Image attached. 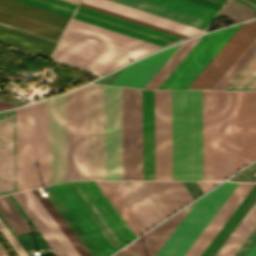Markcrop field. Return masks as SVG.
Returning a JSON list of instances; mask_svg holds the SVG:
<instances>
[{"mask_svg":"<svg viewBox=\"0 0 256 256\" xmlns=\"http://www.w3.org/2000/svg\"><path fill=\"white\" fill-rule=\"evenodd\" d=\"M67 180L84 179L83 87L66 94ZM65 94L49 100V184L66 181Z\"/></svg>","mask_w":256,"mask_h":256,"instance_id":"dd49c442","label":"crop field"},{"mask_svg":"<svg viewBox=\"0 0 256 256\" xmlns=\"http://www.w3.org/2000/svg\"><path fill=\"white\" fill-rule=\"evenodd\" d=\"M255 210H256V203L253 205L250 211L246 214V216L243 218L240 224L236 227V229L233 231V233L226 240V242L223 244V246L220 248V250L216 253L215 256H222V254L225 252V250L228 248V246L231 244V242L234 240V238L237 236V234L240 232V230L243 228V226L246 224V222L255 212Z\"/></svg>","mask_w":256,"mask_h":256,"instance_id":"c035e120","label":"crop field"},{"mask_svg":"<svg viewBox=\"0 0 256 256\" xmlns=\"http://www.w3.org/2000/svg\"><path fill=\"white\" fill-rule=\"evenodd\" d=\"M80 6L87 7V8H90V9H93V10H96V11H99V12H103V13H106V14H109V15H112V16H115V17H119V18H122V19H125V20H128V21H132V22H135V23H138V24H141V25H144V26H148V27H151V28L160 30V31H164V32H167V33L176 35V36H180V37H183V38H187V37H188V36L181 35V34H178V33L172 32V31H169V30H165V29H162V28L153 26V25H149V24H146V23L137 21V20H133V19H130V18L121 16V15H117V14H114V13H111V12H108V11H105V10H101V9H98V8H95V7H92V6H89V5H85V4L80 3Z\"/></svg>","mask_w":256,"mask_h":256,"instance_id":"c21b1889","label":"crop field"},{"mask_svg":"<svg viewBox=\"0 0 256 256\" xmlns=\"http://www.w3.org/2000/svg\"><path fill=\"white\" fill-rule=\"evenodd\" d=\"M137 100L141 101V90L137 89ZM137 101L138 134V179H142L141 102Z\"/></svg>","mask_w":256,"mask_h":256,"instance_id":"b80d0937","label":"crop field"},{"mask_svg":"<svg viewBox=\"0 0 256 256\" xmlns=\"http://www.w3.org/2000/svg\"><path fill=\"white\" fill-rule=\"evenodd\" d=\"M81 2L188 36H192L202 32V30L189 27L171 20H167L108 0H82Z\"/></svg>","mask_w":256,"mask_h":256,"instance_id":"4a817a6b","label":"crop field"},{"mask_svg":"<svg viewBox=\"0 0 256 256\" xmlns=\"http://www.w3.org/2000/svg\"><path fill=\"white\" fill-rule=\"evenodd\" d=\"M246 256H256V243L254 246L251 248V250L248 252Z\"/></svg>","mask_w":256,"mask_h":256,"instance_id":"25e5ab78","label":"crop field"},{"mask_svg":"<svg viewBox=\"0 0 256 256\" xmlns=\"http://www.w3.org/2000/svg\"><path fill=\"white\" fill-rule=\"evenodd\" d=\"M255 51L256 39L234 63V65L227 71V73L221 78V80L215 85L213 89H224L227 83L234 77V75L241 69V67L247 62V60L254 54Z\"/></svg>","mask_w":256,"mask_h":256,"instance_id":"028f5c9d","label":"crop field"},{"mask_svg":"<svg viewBox=\"0 0 256 256\" xmlns=\"http://www.w3.org/2000/svg\"><path fill=\"white\" fill-rule=\"evenodd\" d=\"M155 180H172L171 90H154Z\"/></svg>","mask_w":256,"mask_h":256,"instance_id":"22f410ed","label":"crop field"},{"mask_svg":"<svg viewBox=\"0 0 256 256\" xmlns=\"http://www.w3.org/2000/svg\"><path fill=\"white\" fill-rule=\"evenodd\" d=\"M15 238L28 254V256H34L28 253L27 250L29 249L43 250L50 248L40 233L37 231V229L15 236Z\"/></svg>","mask_w":256,"mask_h":256,"instance_id":"5866460e","label":"crop field"},{"mask_svg":"<svg viewBox=\"0 0 256 256\" xmlns=\"http://www.w3.org/2000/svg\"><path fill=\"white\" fill-rule=\"evenodd\" d=\"M255 226L256 212L253 214V216L250 218V220L247 222V224L244 226V228L241 230V232L238 234V236L235 238V240L223 254V256H233Z\"/></svg>","mask_w":256,"mask_h":256,"instance_id":"e1f06a70","label":"crop field"},{"mask_svg":"<svg viewBox=\"0 0 256 256\" xmlns=\"http://www.w3.org/2000/svg\"><path fill=\"white\" fill-rule=\"evenodd\" d=\"M237 22L256 16V0H228L219 12Z\"/></svg>","mask_w":256,"mask_h":256,"instance_id":"bd1437ed","label":"crop field"},{"mask_svg":"<svg viewBox=\"0 0 256 256\" xmlns=\"http://www.w3.org/2000/svg\"><path fill=\"white\" fill-rule=\"evenodd\" d=\"M143 135H153V90H142ZM143 179H154V136H143Z\"/></svg>","mask_w":256,"mask_h":256,"instance_id":"bc2a9ffb","label":"crop field"},{"mask_svg":"<svg viewBox=\"0 0 256 256\" xmlns=\"http://www.w3.org/2000/svg\"><path fill=\"white\" fill-rule=\"evenodd\" d=\"M254 184L239 183L184 256H199Z\"/></svg>","mask_w":256,"mask_h":256,"instance_id":"733c2abd","label":"crop field"},{"mask_svg":"<svg viewBox=\"0 0 256 256\" xmlns=\"http://www.w3.org/2000/svg\"><path fill=\"white\" fill-rule=\"evenodd\" d=\"M0 256H8L6 254V252L2 249V247L0 246Z\"/></svg>","mask_w":256,"mask_h":256,"instance_id":"73cf0c24","label":"crop field"},{"mask_svg":"<svg viewBox=\"0 0 256 256\" xmlns=\"http://www.w3.org/2000/svg\"><path fill=\"white\" fill-rule=\"evenodd\" d=\"M152 56V55H151ZM148 56L140 61H137L125 68V70L120 74V76L113 83L114 85L126 86L129 81L136 75V73L143 67V65L150 59Z\"/></svg>","mask_w":256,"mask_h":256,"instance_id":"0bd39190","label":"crop field"},{"mask_svg":"<svg viewBox=\"0 0 256 256\" xmlns=\"http://www.w3.org/2000/svg\"><path fill=\"white\" fill-rule=\"evenodd\" d=\"M84 133L85 179H103L102 87L100 85L84 86Z\"/></svg>","mask_w":256,"mask_h":256,"instance_id":"5a996713","label":"crop field"},{"mask_svg":"<svg viewBox=\"0 0 256 256\" xmlns=\"http://www.w3.org/2000/svg\"><path fill=\"white\" fill-rule=\"evenodd\" d=\"M74 18L131 35L162 46L175 43L183 38L131 23L87 8L78 7Z\"/></svg>","mask_w":256,"mask_h":256,"instance_id":"5142ce71","label":"crop field"},{"mask_svg":"<svg viewBox=\"0 0 256 256\" xmlns=\"http://www.w3.org/2000/svg\"><path fill=\"white\" fill-rule=\"evenodd\" d=\"M219 10L226 0H189Z\"/></svg>","mask_w":256,"mask_h":256,"instance_id":"5d738f31","label":"crop field"},{"mask_svg":"<svg viewBox=\"0 0 256 256\" xmlns=\"http://www.w3.org/2000/svg\"><path fill=\"white\" fill-rule=\"evenodd\" d=\"M256 90V89H255Z\"/></svg>","mask_w":256,"mask_h":256,"instance_id":"1f2cbd36","label":"crop field"},{"mask_svg":"<svg viewBox=\"0 0 256 256\" xmlns=\"http://www.w3.org/2000/svg\"><path fill=\"white\" fill-rule=\"evenodd\" d=\"M27 4H31L43 9H47L59 14L71 17L76 5L63 2L60 0H18Z\"/></svg>","mask_w":256,"mask_h":256,"instance_id":"d32e631a","label":"crop field"},{"mask_svg":"<svg viewBox=\"0 0 256 256\" xmlns=\"http://www.w3.org/2000/svg\"><path fill=\"white\" fill-rule=\"evenodd\" d=\"M104 179H122L121 88L103 85Z\"/></svg>","mask_w":256,"mask_h":256,"instance_id":"3316defc","label":"crop field"},{"mask_svg":"<svg viewBox=\"0 0 256 256\" xmlns=\"http://www.w3.org/2000/svg\"><path fill=\"white\" fill-rule=\"evenodd\" d=\"M161 47L72 18L52 59L104 74Z\"/></svg>","mask_w":256,"mask_h":256,"instance_id":"34b2d1b8","label":"crop field"},{"mask_svg":"<svg viewBox=\"0 0 256 256\" xmlns=\"http://www.w3.org/2000/svg\"><path fill=\"white\" fill-rule=\"evenodd\" d=\"M0 231L8 240V242L11 244V246L15 249V251L18 253L19 256H27V254L24 252L21 246L17 243V241L14 239V237L11 235V233L8 231V229L5 227V225L2 223L1 220H0Z\"/></svg>","mask_w":256,"mask_h":256,"instance_id":"03da06ac","label":"crop field"},{"mask_svg":"<svg viewBox=\"0 0 256 256\" xmlns=\"http://www.w3.org/2000/svg\"><path fill=\"white\" fill-rule=\"evenodd\" d=\"M238 183L225 182L113 256H183Z\"/></svg>","mask_w":256,"mask_h":256,"instance_id":"f4fd0767","label":"crop field"},{"mask_svg":"<svg viewBox=\"0 0 256 256\" xmlns=\"http://www.w3.org/2000/svg\"><path fill=\"white\" fill-rule=\"evenodd\" d=\"M117 3H121L142 11H146L167 19H171L189 26H193L199 29L204 30V28L206 27V25L208 24V22L202 21V20H198L180 13H176L161 7H157L142 1H138V0H111Z\"/></svg>","mask_w":256,"mask_h":256,"instance_id":"a9b5d70f","label":"crop field"},{"mask_svg":"<svg viewBox=\"0 0 256 256\" xmlns=\"http://www.w3.org/2000/svg\"><path fill=\"white\" fill-rule=\"evenodd\" d=\"M179 45L154 54L127 86L142 88Z\"/></svg>","mask_w":256,"mask_h":256,"instance_id":"750c4746","label":"crop field"},{"mask_svg":"<svg viewBox=\"0 0 256 256\" xmlns=\"http://www.w3.org/2000/svg\"><path fill=\"white\" fill-rule=\"evenodd\" d=\"M200 37L182 43L143 88H158Z\"/></svg>","mask_w":256,"mask_h":256,"instance_id":"4177f3b9","label":"crop field"},{"mask_svg":"<svg viewBox=\"0 0 256 256\" xmlns=\"http://www.w3.org/2000/svg\"><path fill=\"white\" fill-rule=\"evenodd\" d=\"M239 25L203 35L159 88L186 89Z\"/></svg>","mask_w":256,"mask_h":256,"instance_id":"28ad6ade","label":"crop field"},{"mask_svg":"<svg viewBox=\"0 0 256 256\" xmlns=\"http://www.w3.org/2000/svg\"><path fill=\"white\" fill-rule=\"evenodd\" d=\"M123 179H137L136 90L122 88Z\"/></svg>","mask_w":256,"mask_h":256,"instance_id":"d9b57169","label":"crop field"},{"mask_svg":"<svg viewBox=\"0 0 256 256\" xmlns=\"http://www.w3.org/2000/svg\"><path fill=\"white\" fill-rule=\"evenodd\" d=\"M203 192L208 190L210 187L218 184L219 182H196Z\"/></svg>","mask_w":256,"mask_h":256,"instance_id":"d23c7cc5","label":"crop field"},{"mask_svg":"<svg viewBox=\"0 0 256 256\" xmlns=\"http://www.w3.org/2000/svg\"><path fill=\"white\" fill-rule=\"evenodd\" d=\"M45 189L49 193V196H47L49 200L52 202V204L55 206V208L58 210L61 216L65 219V221L77 235L80 241L84 244V246L87 248L90 254L92 256H101L95 249V247L92 245V243L85 236V234L82 232V230L79 228V226L72 219V217L69 215V213L65 210V208L62 206V204L59 202V200L56 198V196L53 194L50 188L46 187Z\"/></svg>","mask_w":256,"mask_h":256,"instance_id":"1d83c4d3","label":"crop field"},{"mask_svg":"<svg viewBox=\"0 0 256 256\" xmlns=\"http://www.w3.org/2000/svg\"><path fill=\"white\" fill-rule=\"evenodd\" d=\"M145 229L170 214L145 181H110Z\"/></svg>","mask_w":256,"mask_h":256,"instance_id":"cbeb9de0","label":"crop field"},{"mask_svg":"<svg viewBox=\"0 0 256 256\" xmlns=\"http://www.w3.org/2000/svg\"><path fill=\"white\" fill-rule=\"evenodd\" d=\"M146 182L170 214L194 200L181 182Z\"/></svg>","mask_w":256,"mask_h":256,"instance_id":"214f88e0","label":"crop field"},{"mask_svg":"<svg viewBox=\"0 0 256 256\" xmlns=\"http://www.w3.org/2000/svg\"><path fill=\"white\" fill-rule=\"evenodd\" d=\"M256 242V227L248 236V238L244 241L238 251L235 253L234 256H245L253 244Z\"/></svg>","mask_w":256,"mask_h":256,"instance_id":"b54c1fbb","label":"crop field"},{"mask_svg":"<svg viewBox=\"0 0 256 256\" xmlns=\"http://www.w3.org/2000/svg\"><path fill=\"white\" fill-rule=\"evenodd\" d=\"M256 38V19L244 22L187 89H212Z\"/></svg>","mask_w":256,"mask_h":256,"instance_id":"d1516ede","label":"crop field"},{"mask_svg":"<svg viewBox=\"0 0 256 256\" xmlns=\"http://www.w3.org/2000/svg\"><path fill=\"white\" fill-rule=\"evenodd\" d=\"M95 182L99 186V188L102 190V192L105 194V196L108 198V200L111 202V204L114 206V208L117 210V212L120 214V216L123 218V220L126 222V224L129 226V228L132 230V232L135 234L136 237L142 234L144 231H146L144 227L141 225V223L138 221V219L135 217V215L132 213V211L129 209V207L125 204V202L116 192V190L113 188V186L110 184L109 181H95Z\"/></svg>","mask_w":256,"mask_h":256,"instance_id":"00972430","label":"crop field"},{"mask_svg":"<svg viewBox=\"0 0 256 256\" xmlns=\"http://www.w3.org/2000/svg\"><path fill=\"white\" fill-rule=\"evenodd\" d=\"M21 193L29 202V204L33 207V209L36 211V213L39 215V217L42 219L45 225L49 228V230L52 232L55 238L59 241V243L68 253V255L79 256V254L76 252V250L64 236V234L61 232V230L58 228V226L55 224V222L52 220V218L49 216V214L46 212V210L34 196V194L31 192V190L23 191Z\"/></svg>","mask_w":256,"mask_h":256,"instance_id":"730fd06b","label":"crop field"},{"mask_svg":"<svg viewBox=\"0 0 256 256\" xmlns=\"http://www.w3.org/2000/svg\"><path fill=\"white\" fill-rule=\"evenodd\" d=\"M11 107H16V106L0 101V110L11 108Z\"/></svg>","mask_w":256,"mask_h":256,"instance_id":"425ffa30","label":"crop field"},{"mask_svg":"<svg viewBox=\"0 0 256 256\" xmlns=\"http://www.w3.org/2000/svg\"><path fill=\"white\" fill-rule=\"evenodd\" d=\"M256 201V184L248 193V195L244 198L238 208L234 211L228 221L224 224L218 234L214 237L205 251L201 254V256H213L223 242L227 239L236 225L240 222L246 212L250 209L253 203Z\"/></svg>","mask_w":256,"mask_h":256,"instance_id":"dafd665d","label":"crop field"},{"mask_svg":"<svg viewBox=\"0 0 256 256\" xmlns=\"http://www.w3.org/2000/svg\"><path fill=\"white\" fill-rule=\"evenodd\" d=\"M188 15L210 21L217 10L207 8L185 0H143Z\"/></svg>","mask_w":256,"mask_h":256,"instance_id":"eef30255","label":"crop field"},{"mask_svg":"<svg viewBox=\"0 0 256 256\" xmlns=\"http://www.w3.org/2000/svg\"><path fill=\"white\" fill-rule=\"evenodd\" d=\"M236 110L240 169L256 158V92L236 91ZM202 135L203 180H213L212 91H202ZM213 135L214 180L224 179L237 171L235 91H213Z\"/></svg>","mask_w":256,"mask_h":256,"instance_id":"8a807250","label":"crop field"},{"mask_svg":"<svg viewBox=\"0 0 256 256\" xmlns=\"http://www.w3.org/2000/svg\"><path fill=\"white\" fill-rule=\"evenodd\" d=\"M48 184V100L0 113V195Z\"/></svg>","mask_w":256,"mask_h":256,"instance_id":"ac0d7876","label":"crop field"},{"mask_svg":"<svg viewBox=\"0 0 256 256\" xmlns=\"http://www.w3.org/2000/svg\"><path fill=\"white\" fill-rule=\"evenodd\" d=\"M0 8L64 29L70 19L15 0H0ZM1 9L0 43L50 58L64 29Z\"/></svg>","mask_w":256,"mask_h":256,"instance_id":"e52e79f7","label":"crop field"},{"mask_svg":"<svg viewBox=\"0 0 256 256\" xmlns=\"http://www.w3.org/2000/svg\"><path fill=\"white\" fill-rule=\"evenodd\" d=\"M12 196L22 208V210L26 213V215L29 217V219L32 221V223L35 225V227L39 230V232L42 234V236L45 238V240L48 242V244L51 246L57 256H68L64 249L61 247V245L58 243V241L54 238L48 228L44 225V223L32 209L33 207L31 208V206L22 196V194L18 193L13 194Z\"/></svg>","mask_w":256,"mask_h":256,"instance_id":"ae1a2a85","label":"crop field"},{"mask_svg":"<svg viewBox=\"0 0 256 256\" xmlns=\"http://www.w3.org/2000/svg\"><path fill=\"white\" fill-rule=\"evenodd\" d=\"M256 72V53L251 57V59L245 64V66L239 71V73L233 78V80L227 85V87L242 88L244 84L250 79V77ZM256 73L251 77V79L245 84L242 89L239 90H254V89H244L247 84L253 79ZM225 88V89H233ZM246 88H256V76L248 84Z\"/></svg>","mask_w":256,"mask_h":256,"instance_id":"120bbe31","label":"crop field"},{"mask_svg":"<svg viewBox=\"0 0 256 256\" xmlns=\"http://www.w3.org/2000/svg\"><path fill=\"white\" fill-rule=\"evenodd\" d=\"M50 188L102 256L136 238L94 181Z\"/></svg>","mask_w":256,"mask_h":256,"instance_id":"412701ff","label":"crop field"},{"mask_svg":"<svg viewBox=\"0 0 256 256\" xmlns=\"http://www.w3.org/2000/svg\"><path fill=\"white\" fill-rule=\"evenodd\" d=\"M63 1H67V2H70V3H73V4H78L79 0H63Z\"/></svg>","mask_w":256,"mask_h":256,"instance_id":"89e229c0","label":"crop field"},{"mask_svg":"<svg viewBox=\"0 0 256 256\" xmlns=\"http://www.w3.org/2000/svg\"><path fill=\"white\" fill-rule=\"evenodd\" d=\"M0 219L13 236L35 229L11 195L0 197Z\"/></svg>","mask_w":256,"mask_h":256,"instance_id":"92a150f3","label":"crop field"},{"mask_svg":"<svg viewBox=\"0 0 256 256\" xmlns=\"http://www.w3.org/2000/svg\"><path fill=\"white\" fill-rule=\"evenodd\" d=\"M173 179L202 180L201 91L172 90Z\"/></svg>","mask_w":256,"mask_h":256,"instance_id":"d8731c3e","label":"crop field"},{"mask_svg":"<svg viewBox=\"0 0 256 256\" xmlns=\"http://www.w3.org/2000/svg\"><path fill=\"white\" fill-rule=\"evenodd\" d=\"M32 192L35 194V196L38 198V200L41 202V204L44 206V208L47 210V212L50 214V216L62 230V232L65 234V236L77 250L80 256H91L89 252L86 250V248L83 246V244L76 237V235L73 233V231L70 229V227L67 225V223L64 221V219L60 216V214L51 204V202L48 200V198H42L37 189H33Z\"/></svg>","mask_w":256,"mask_h":256,"instance_id":"d3111659","label":"crop field"}]
</instances>
